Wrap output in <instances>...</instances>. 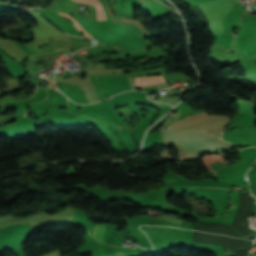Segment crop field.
<instances>
[{
    "label": "crop field",
    "instance_id": "f4fd0767",
    "mask_svg": "<svg viewBox=\"0 0 256 256\" xmlns=\"http://www.w3.org/2000/svg\"><path fill=\"white\" fill-rule=\"evenodd\" d=\"M55 1V0H54ZM55 5H56V1H55ZM56 9H57V5H56ZM58 10V9H57Z\"/></svg>",
    "mask_w": 256,
    "mask_h": 256
},
{
    "label": "crop field",
    "instance_id": "ac0d7876",
    "mask_svg": "<svg viewBox=\"0 0 256 256\" xmlns=\"http://www.w3.org/2000/svg\"><path fill=\"white\" fill-rule=\"evenodd\" d=\"M137 86H145L149 84L159 83L165 81L161 75H154L149 77L135 78Z\"/></svg>",
    "mask_w": 256,
    "mask_h": 256
},
{
    "label": "crop field",
    "instance_id": "412701ff",
    "mask_svg": "<svg viewBox=\"0 0 256 256\" xmlns=\"http://www.w3.org/2000/svg\"><path fill=\"white\" fill-rule=\"evenodd\" d=\"M63 15H65L68 19H70L72 21V23L83 33V35L85 37H91L93 38L91 35H89L73 18H71L70 16H68L67 14L62 13Z\"/></svg>",
    "mask_w": 256,
    "mask_h": 256
},
{
    "label": "crop field",
    "instance_id": "34b2d1b8",
    "mask_svg": "<svg viewBox=\"0 0 256 256\" xmlns=\"http://www.w3.org/2000/svg\"><path fill=\"white\" fill-rule=\"evenodd\" d=\"M74 1L82 2V3H88V4H91V5L95 6L96 10H97V20L107 19L106 16H105L104 11L102 9V6H101V4L98 0H74Z\"/></svg>",
    "mask_w": 256,
    "mask_h": 256
},
{
    "label": "crop field",
    "instance_id": "dd49c442",
    "mask_svg": "<svg viewBox=\"0 0 256 256\" xmlns=\"http://www.w3.org/2000/svg\"><path fill=\"white\" fill-rule=\"evenodd\" d=\"M118 254H121V253H118ZM121 255H125V254H121Z\"/></svg>",
    "mask_w": 256,
    "mask_h": 256
},
{
    "label": "crop field",
    "instance_id": "e52e79f7",
    "mask_svg": "<svg viewBox=\"0 0 256 256\" xmlns=\"http://www.w3.org/2000/svg\"><path fill=\"white\" fill-rule=\"evenodd\" d=\"M109 191V190H108ZM127 191V190H126Z\"/></svg>",
    "mask_w": 256,
    "mask_h": 256
},
{
    "label": "crop field",
    "instance_id": "8a807250",
    "mask_svg": "<svg viewBox=\"0 0 256 256\" xmlns=\"http://www.w3.org/2000/svg\"><path fill=\"white\" fill-rule=\"evenodd\" d=\"M227 122H228V117L221 116V117L212 119L210 121L209 126L203 128L202 130L220 138L221 130L227 124Z\"/></svg>",
    "mask_w": 256,
    "mask_h": 256
}]
</instances>
